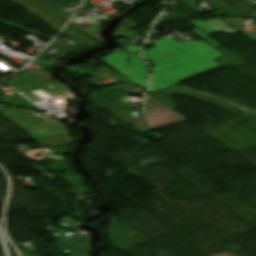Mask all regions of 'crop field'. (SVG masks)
I'll use <instances>...</instances> for the list:
<instances>
[{"mask_svg": "<svg viewBox=\"0 0 256 256\" xmlns=\"http://www.w3.org/2000/svg\"><path fill=\"white\" fill-rule=\"evenodd\" d=\"M188 21L207 34L219 33V32L229 34V33L236 32L235 30H233L232 28H230L229 26H227L226 24H224L218 19H212L208 21H191V20H188Z\"/></svg>", "mask_w": 256, "mask_h": 256, "instance_id": "5", "label": "crop field"}, {"mask_svg": "<svg viewBox=\"0 0 256 256\" xmlns=\"http://www.w3.org/2000/svg\"><path fill=\"white\" fill-rule=\"evenodd\" d=\"M192 31L217 49L222 47L199 30L192 29ZM152 45L156 47L142 53V57L156 65L152 68V85L149 92L159 91L217 68L219 65L213 59L223 56L203 40L179 43L168 37Z\"/></svg>", "mask_w": 256, "mask_h": 256, "instance_id": "1", "label": "crop field"}, {"mask_svg": "<svg viewBox=\"0 0 256 256\" xmlns=\"http://www.w3.org/2000/svg\"><path fill=\"white\" fill-rule=\"evenodd\" d=\"M227 16L252 18L256 16V3L247 0H208Z\"/></svg>", "mask_w": 256, "mask_h": 256, "instance_id": "3", "label": "crop field"}, {"mask_svg": "<svg viewBox=\"0 0 256 256\" xmlns=\"http://www.w3.org/2000/svg\"><path fill=\"white\" fill-rule=\"evenodd\" d=\"M71 41L79 45L81 48L98 46L100 44L90 40L84 33L74 28L72 25H68L62 33Z\"/></svg>", "mask_w": 256, "mask_h": 256, "instance_id": "6", "label": "crop field"}, {"mask_svg": "<svg viewBox=\"0 0 256 256\" xmlns=\"http://www.w3.org/2000/svg\"><path fill=\"white\" fill-rule=\"evenodd\" d=\"M125 51L114 52L99 59L120 75L145 89L148 86V64L138 57L141 48L125 45Z\"/></svg>", "mask_w": 256, "mask_h": 256, "instance_id": "2", "label": "crop field"}, {"mask_svg": "<svg viewBox=\"0 0 256 256\" xmlns=\"http://www.w3.org/2000/svg\"><path fill=\"white\" fill-rule=\"evenodd\" d=\"M69 256H88V255H69Z\"/></svg>", "mask_w": 256, "mask_h": 256, "instance_id": "9", "label": "crop field"}, {"mask_svg": "<svg viewBox=\"0 0 256 256\" xmlns=\"http://www.w3.org/2000/svg\"><path fill=\"white\" fill-rule=\"evenodd\" d=\"M44 7L55 13L56 15L67 19L70 14L64 11L61 7L65 4L68 0H36Z\"/></svg>", "mask_w": 256, "mask_h": 256, "instance_id": "7", "label": "crop field"}, {"mask_svg": "<svg viewBox=\"0 0 256 256\" xmlns=\"http://www.w3.org/2000/svg\"><path fill=\"white\" fill-rule=\"evenodd\" d=\"M30 13H32L34 16L51 26L56 31H60V29L65 24V20L62 18L56 16L46 8H44L42 5L37 3L34 0H12Z\"/></svg>", "mask_w": 256, "mask_h": 256, "instance_id": "4", "label": "crop field"}, {"mask_svg": "<svg viewBox=\"0 0 256 256\" xmlns=\"http://www.w3.org/2000/svg\"><path fill=\"white\" fill-rule=\"evenodd\" d=\"M137 25L138 24L136 22L127 18L121 22V24L116 28V30L126 32L121 37L136 39L139 35H143L140 34L142 31L141 29L136 30L137 32L130 31L131 28L137 27Z\"/></svg>", "mask_w": 256, "mask_h": 256, "instance_id": "8", "label": "crop field"}]
</instances>
